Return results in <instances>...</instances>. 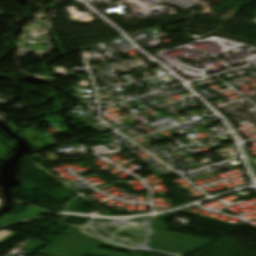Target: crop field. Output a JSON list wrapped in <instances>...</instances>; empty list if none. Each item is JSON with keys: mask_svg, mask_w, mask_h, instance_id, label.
Returning <instances> with one entry per match:
<instances>
[{"mask_svg": "<svg viewBox=\"0 0 256 256\" xmlns=\"http://www.w3.org/2000/svg\"><path fill=\"white\" fill-rule=\"evenodd\" d=\"M0 227H3L2 225H0Z\"/></svg>", "mask_w": 256, "mask_h": 256, "instance_id": "obj_2", "label": "crop field"}, {"mask_svg": "<svg viewBox=\"0 0 256 256\" xmlns=\"http://www.w3.org/2000/svg\"><path fill=\"white\" fill-rule=\"evenodd\" d=\"M9 151L10 150L0 142V161L8 155Z\"/></svg>", "mask_w": 256, "mask_h": 256, "instance_id": "obj_1", "label": "crop field"}]
</instances>
